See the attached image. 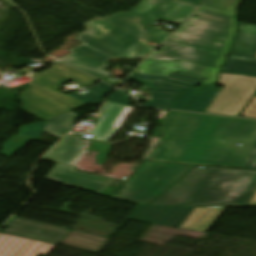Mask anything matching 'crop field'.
<instances>
[{
  "mask_svg": "<svg viewBox=\"0 0 256 256\" xmlns=\"http://www.w3.org/2000/svg\"><path fill=\"white\" fill-rule=\"evenodd\" d=\"M5 226L62 239L70 230L12 218Z\"/></svg>",
  "mask_w": 256,
  "mask_h": 256,
  "instance_id": "18",
  "label": "crop field"
},
{
  "mask_svg": "<svg viewBox=\"0 0 256 256\" xmlns=\"http://www.w3.org/2000/svg\"><path fill=\"white\" fill-rule=\"evenodd\" d=\"M35 78L37 81L31 83V87L21 92L20 99L23 100V110L42 120L85 105L62 94L59 89L63 83L72 80L85 88H89L98 81L62 63H54L52 69L36 74Z\"/></svg>",
  "mask_w": 256,
  "mask_h": 256,
  "instance_id": "4",
  "label": "crop field"
},
{
  "mask_svg": "<svg viewBox=\"0 0 256 256\" xmlns=\"http://www.w3.org/2000/svg\"><path fill=\"white\" fill-rule=\"evenodd\" d=\"M197 166L151 205H184L203 169ZM207 168V167H206ZM204 173V172H203Z\"/></svg>",
  "mask_w": 256,
  "mask_h": 256,
  "instance_id": "15",
  "label": "crop field"
},
{
  "mask_svg": "<svg viewBox=\"0 0 256 256\" xmlns=\"http://www.w3.org/2000/svg\"><path fill=\"white\" fill-rule=\"evenodd\" d=\"M195 15L200 17H192L149 59L182 60L219 71L236 32L237 18L202 9Z\"/></svg>",
  "mask_w": 256,
  "mask_h": 256,
  "instance_id": "3",
  "label": "crop field"
},
{
  "mask_svg": "<svg viewBox=\"0 0 256 256\" xmlns=\"http://www.w3.org/2000/svg\"><path fill=\"white\" fill-rule=\"evenodd\" d=\"M245 168L256 169V146L253 147Z\"/></svg>",
  "mask_w": 256,
  "mask_h": 256,
  "instance_id": "29",
  "label": "crop field"
},
{
  "mask_svg": "<svg viewBox=\"0 0 256 256\" xmlns=\"http://www.w3.org/2000/svg\"><path fill=\"white\" fill-rule=\"evenodd\" d=\"M163 135L151 160L244 168L256 121L169 111Z\"/></svg>",
  "mask_w": 256,
  "mask_h": 256,
  "instance_id": "1",
  "label": "crop field"
},
{
  "mask_svg": "<svg viewBox=\"0 0 256 256\" xmlns=\"http://www.w3.org/2000/svg\"><path fill=\"white\" fill-rule=\"evenodd\" d=\"M126 93L120 91V90H115L108 98L107 100L123 103L130 105L132 101L128 100L130 96L125 95Z\"/></svg>",
  "mask_w": 256,
  "mask_h": 256,
  "instance_id": "26",
  "label": "crop field"
},
{
  "mask_svg": "<svg viewBox=\"0 0 256 256\" xmlns=\"http://www.w3.org/2000/svg\"><path fill=\"white\" fill-rule=\"evenodd\" d=\"M148 42L150 41L139 40L123 55L117 58L145 59L155 49V47L147 45Z\"/></svg>",
  "mask_w": 256,
  "mask_h": 256,
  "instance_id": "21",
  "label": "crop field"
},
{
  "mask_svg": "<svg viewBox=\"0 0 256 256\" xmlns=\"http://www.w3.org/2000/svg\"><path fill=\"white\" fill-rule=\"evenodd\" d=\"M239 33L223 72L256 76V25L238 23Z\"/></svg>",
  "mask_w": 256,
  "mask_h": 256,
  "instance_id": "10",
  "label": "crop field"
},
{
  "mask_svg": "<svg viewBox=\"0 0 256 256\" xmlns=\"http://www.w3.org/2000/svg\"><path fill=\"white\" fill-rule=\"evenodd\" d=\"M247 206H256V191L253 194L252 198L248 202Z\"/></svg>",
  "mask_w": 256,
  "mask_h": 256,
  "instance_id": "30",
  "label": "crop field"
},
{
  "mask_svg": "<svg viewBox=\"0 0 256 256\" xmlns=\"http://www.w3.org/2000/svg\"><path fill=\"white\" fill-rule=\"evenodd\" d=\"M139 69H142L143 74L168 75L171 71L181 73L205 80L202 86L214 83L219 73L218 71L182 61L168 62L146 60Z\"/></svg>",
  "mask_w": 256,
  "mask_h": 256,
  "instance_id": "12",
  "label": "crop field"
},
{
  "mask_svg": "<svg viewBox=\"0 0 256 256\" xmlns=\"http://www.w3.org/2000/svg\"><path fill=\"white\" fill-rule=\"evenodd\" d=\"M85 27H86V32L101 39V38L105 37V35L108 34L116 26L97 17V18L85 23Z\"/></svg>",
  "mask_w": 256,
  "mask_h": 256,
  "instance_id": "22",
  "label": "crop field"
},
{
  "mask_svg": "<svg viewBox=\"0 0 256 256\" xmlns=\"http://www.w3.org/2000/svg\"><path fill=\"white\" fill-rule=\"evenodd\" d=\"M83 141L81 138L69 135L59 143L44 159L59 162L46 180L70 185L83 190L99 194L116 179L102 177L76 171L69 165L82 152Z\"/></svg>",
  "mask_w": 256,
  "mask_h": 256,
  "instance_id": "7",
  "label": "crop field"
},
{
  "mask_svg": "<svg viewBox=\"0 0 256 256\" xmlns=\"http://www.w3.org/2000/svg\"><path fill=\"white\" fill-rule=\"evenodd\" d=\"M127 79L150 87L152 102L145 106L170 108L183 89L197 86L203 80L171 72L168 76L132 74Z\"/></svg>",
  "mask_w": 256,
  "mask_h": 256,
  "instance_id": "9",
  "label": "crop field"
},
{
  "mask_svg": "<svg viewBox=\"0 0 256 256\" xmlns=\"http://www.w3.org/2000/svg\"><path fill=\"white\" fill-rule=\"evenodd\" d=\"M113 146L92 141L88 150L99 152L96 159L104 165Z\"/></svg>",
  "mask_w": 256,
  "mask_h": 256,
  "instance_id": "24",
  "label": "crop field"
},
{
  "mask_svg": "<svg viewBox=\"0 0 256 256\" xmlns=\"http://www.w3.org/2000/svg\"><path fill=\"white\" fill-rule=\"evenodd\" d=\"M197 8L177 0H142L129 13L121 12L104 20L116 25L105 38L99 40L84 32L76 40L83 44L59 59L99 79L112 74L103 69L105 62L124 53L140 38L161 43L171 33L151 27L156 20L181 24Z\"/></svg>",
  "mask_w": 256,
  "mask_h": 256,
  "instance_id": "2",
  "label": "crop field"
},
{
  "mask_svg": "<svg viewBox=\"0 0 256 256\" xmlns=\"http://www.w3.org/2000/svg\"><path fill=\"white\" fill-rule=\"evenodd\" d=\"M114 88L104 84V83H99L95 87L91 88L90 90L95 91L103 96H106L109 92H111Z\"/></svg>",
  "mask_w": 256,
  "mask_h": 256,
  "instance_id": "27",
  "label": "crop field"
},
{
  "mask_svg": "<svg viewBox=\"0 0 256 256\" xmlns=\"http://www.w3.org/2000/svg\"><path fill=\"white\" fill-rule=\"evenodd\" d=\"M218 85L224 86L206 110L208 113L238 116L256 91V78L222 73Z\"/></svg>",
  "mask_w": 256,
  "mask_h": 256,
  "instance_id": "8",
  "label": "crop field"
},
{
  "mask_svg": "<svg viewBox=\"0 0 256 256\" xmlns=\"http://www.w3.org/2000/svg\"><path fill=\"white\" fill-rule=\"evenodd\" d=\"M193 167L145 161L129 180L107 197L148 205Z\"/></svg>",
  "mask_w": 256,
  "mask_h": 256,
  "instance_id": "6",
  "label": "crop field"
},
{
  "mask_svg": "<svg viewBox=\"0 0 256 256\" xmlns=\"http://www.w3.org/2000/svg\"><path fill=\"white\" fill-rule=\"evenodd\" d=\"M54 246L0 233V256L46 255Z\"/></svg>",
  "mask_w": 256,
  "mask_h": 256,
  "instance_id": "14",
  "label": "crop field"
},
{
  "mask_svg": "<svg viewBox=\"0 0 256 256\" xmlns=\"http://www.w3.org/2000/svg\"><path fill=\"white\" fill-rule=\"evenodd\" d=\"M194 208L138 206L128 219L179 228Z\"/></svg>",
  "mask_w": 256,
  "mask_h": 256,
  "instance_id": "11",
  "label": "crop field"
},
{
  "mask_svg": "<svg viewBox=\"0 0 256 256\" xmlns=\"http://www.w3.org/2000/svg\"><path fill=\"white\" fill-rule=\"evenodd\" d=\"M127 106L104 101L96 117L101 118L92 131L93 139L109 142L117 131V123L126 111Z\"/></svg>",
  "mask_w": 256,
  "mask_h": 256,
  "instance_id": "13",
  "label": "crop field"
},
{
  "mask_svg": "<svg viewBox=\"0 0 256 256\" xmlns=\"http://www.w3.org/2000/svg\"><path fill=\"white\" fill-rule=\"evenodd\" d=\"M243 117L256 118V96L242 114Z\"/></svg>",
  "mask_w": 256,
  "mask_h": 256,
  "instance_id": "28",
  "label": "crop field"
},
{
  "mask_svg": "<svg viewBox=\"0 0 256 256\" xmlns=\"http://www.w3.org/2000/svg\"><path fill=\"white\" fill-rule=\"evenodd\" d=\"M240 2L241 0H204L201 8L224 15L237 17V8Z\"/></svg>",
  "mask_w": 256,
  "mask_h": 256,
  "instance_id": "20",
  "label": "crop field"
},
{
  "mask_svg": "<svg viewBox=\"0 0 256 256\" xmlns=\"http://www.w3.org/2000/svg\"><path fill=\"white\" fill-rule=\"evenodd\" d=\"M45 125L46 122L24 125L21 127L19 135L40 140L44 132Z\"/></svg>",
  "mask_w": 256,
  "mask_h": 256,
  "instance_id": "23",
  "label": "crop field"
},
{
  "mask_svg": "<svg viewBox=\"0 0 256 256\" xmlns=\"http://www.w3.org/2000/svg\"><path fill=\"white\" fill-rule=\"evenodd\" d=\"M226 207H196L181 229L208 233Z\"/></svg>",
  "mask_w": 256,
  "mask_h": 256,
  "instance_id": "17",
  "label": "crop field"
},
{
  "mask_svg": "<svg viewBox=\"0 0 256 256\" xmlns=\"http://www.w3.org/2000/svg\"><path fill=\"white\" fill-rule=\"evenodd\" d=\"M256 189V171L207 167L185 205L246 206Z\"/></svg>",
  "mask_w": 256,
  "mask_h": 256,
  "instance_id": "5",
  "label": "crop field"
},
{
  "mask_svg": "<svg viewBox=\"0 0 256 256\" xmlns=\"http://www.w3.org/2000/svg\"><path fill=\"white\" fill-rule=\"evenodd\" d=\"M219 91L214 85L184 91L173 108L205 112Z\"/></svg>",
  "mask_w": 256,
  "mask_h": 256,
  "instance_id": "16",
  "label": "crop field"
},
{
  "mask_svg": "<svg viewBox=\"0 0 256 256\" xmlns=\"http://www.w3.org/2000/svg\"><path fill=\"white\" fill-rule=\"evenodd\" d=\"M70 96L88 104V103H91V102H95V103H99L100 101L103 100V97L94 93V92H89L83 96L79 95L78 93L74 92L72 94H69ZM75 95V96H73Z\"/></svg>",
  "mask_w": 256,
  "mask_h": 256,
  "instance_id": "25",
  "label": "crop field"
},
{
  "mask_svg": "<svg viewBox=\"0 0 256 256\" xmlns=\"http://www.w3.org/2000/svg\"><path fill=\"white\" fill-rule=\"evenodd\" d=\"M184 1L196 4V5H199V2H200V0H184Z\"/></svg>",
  "mask_w": 256,
  "mask_h": 256,
  "instance_id": "31",
  "label": "crop field"
},
{
  "mask_svg": "<svg viewBox=\"0 0 256 256\" xmlns=\"http://www.w3.org/2000/svg\"><path fill=\"white\" fill-rule=\"evenodd\" d=\"M76 116L78 114L70 111L66 114L48 119L45 131L61 139L73 127Z\"/></svg>",
  "mask_w": 256,
  "mask_h": 256,
  "instance_id": "19",
  "label": "crop field"
}]
</instances>
